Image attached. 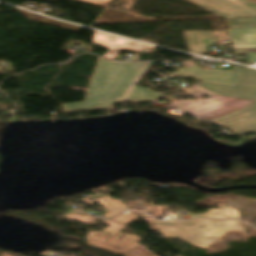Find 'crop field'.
I'll list each match as a JSON object with an SVG mask.
<instances>
[{
	"instance_id": "3316defc",
	"label": "crop field",
	"mask_w": 256,
	"mask_h": 256,
	"mask_svg": "<svg viewBox=\"0 0 256 256\" xmlns=\"http://www.w3.org/2000/svg\"><path fill=\"white\" fill-rule=\"evenodd\" d=\"M123 256H157L141 244L121 253Z\"/></svg>"
},
{
	"instance_id": "cbeb9de0",
	"label": "crop field",
	"mask_w": 256,
	"mask_h": 256,
	"mask_svg": "<svg viewBox=\"0 0 256 256\" xmlns=\"http://www.w3.org/2000/svg\"><path fill=\"white\" fill-rule=\"evenodd\" d=\"M135 218H137V216H135L133 213L128 211V212H125L123 214L112 217L110 219L125 224V223H127V222H129V221H131Z\"/></svg>"
},
{
	"instance_id": "d9b57169",
	"label": "crop field",
	"mask_w": 256,
	"mask_h": 256,
	"mask_svg": "<svg viewBox=\"0 0 256 256\" xmlns=\"http://www.w3.org/2000/svg\"><path fill=\"white\" fill-rule=\"evenodd\" d=\"M102 222L109 224L108 226H106L102 230H111V231H118L119 232L120 230L125 228V226L123 224L114 222V221H112L110 219H108L106 221H102Z\"/></svg>"
},
{
	"instance_id": "dd49c442",
	"label": "crop field",
	"mask_w": 256,
	"mask_h": 256,
	"mask_svg": "<svg viewBox=\"0 0 256 256\" xmlns=\"http://www.w3.org/2000/svg\"><path fill=\"white\" fill-rule=\"evenodd\" d=\"M199 68H200L199 65L178 68L174 73L179 74L181 76L193 77L201 81L230 84V85H234V83L240 76L239 73L226 72V71L201 70Z\"/></svg>"
},
{
	"instance_id": "4a817a6b",
	"label": "crop field",
	"mask_w": 256,
	"mask_h": 256,
	"mask_svg": "<svg viewBox=\"0 0 256 256\" xmlns=\"http://www.w3.org/2000/svg\"><path fill=\"white\" fill-rule=\"evenodd\" d=\"M75 1H80L84 3L105 7V5L108 3L109 0H75Z\"/></svg>"
},
{
	"instance_id": "5142ce71",
	"label": "crop field",
	"mask_w": 256,
	"mask_h": 256,
	"mask_svg": "<svg viewBox=\"0 0 256 256\" xmlns=\"http://www.w3.org/2000/svg\"><path fill=\"white\" fill-rule=\"evenodd\" d=\"M64 217L68 218V219L77 220V221H80L83 223H88V224H93L95 222V219L92 217L74 215V214H70V213L66 214Z\"/></svg>"
},
{
	"instance_id": "d8731c3e",
	"label": "crop field",
	"mask_w": 256,
	"mask_h": 256,
	"mask_svg": "<svg viewBox=\"0 0 256 256\" xmlns=\"http://www.w3.org/2000/svg\"><path fill=\"white\" fill-rule=\"evenodd\" d=\"M162 93H155L150 89L134 86L124 101L144 102L155 101Z\"/></svg>"
},
{
	"instance_id": "f4fd0767",
	"label": "crop field",
	"mask_w": 256,
	"mask_h": 256,
	"mask_svg": "<svg viewBox=\"0 0 256 256\" xmlns=\"http://www.w3.org/2000/svg\"><path fill=\"white\" fill-rule=\"evenodd\" d=\"M92 44L109 48L102 57L113 58V56L120 50L126 52H152L154 47L139 44L129 40L121 39L105 33L94 31Z\"/></svg>"
},
{
	"instance_id": "34b2d1b8",
	"label": "crop field",
	"mask_w": 256,
	"mask_h": 256,
	"mask_svg": "<svg viewBox=\"0 0 256 256\" xmlns=\"http://www.w3.org/2000/svg\"><path fill=\"white\" fill-rule=\"evenodd\" d=\"M219 17L256 16V4L249 0H185Z\"/></svg>"
},
{
	"instance_id": "bc2a9ffb",
	"label": "crop field",
	"mask_w": 256,
	"mask_h": 256,
	"mask_svg": "<svg viewBox=\"0 0 256 256\" xmlns=\"http://www.w3.org/2000/svg\"><path fill=\"white\" fill-rule=\"evenodd\" d=\"M120 211H124V210H119V211H108V212L104 213L103 215H105V216H106V218H107V217H109V216H111V215H113V214H115V213H117V212H120ZM117 214H118V213H117Z\"/></svg>"
},
{
	"instance_id": "ac0d7876",
	"label": "crop field",
	"mask_w": 256,
	"mask_h": 256,
	"mask_svg": "<svg viewBox=\"0 0 256 256\" xmlns=\"http://www.w3.org/2000/svg\"><path fill=\"white\" fill-rule=\"evenodd\" d=\"M87 246L116 255L138 244L141 238L110 231H89Z\"/></svg>"
},
{
	"instance_id": "5a996713",
	"label": "crop field",
	"mask_w": 256,
	"mask_h": 256,
	"mask_svg": "<svg viewBox=\"0 0 256 256\" xmlns=\"http://www.w3.org/2000/svg\"><path fill=\"white\" fill-rule=\"evenodd\" d=\"M217 230L215 224H193L186 229L188 235H208Z\"/></svg>"
},
{
	"instance_id": "22f410ed",
	"label": "crop field",
	"mask_w": 256,
	"mask_h": 256,
	"mask_svg": "<svg viewBox=\"0 0 256 256\" xmlns=\"http://www.w3.org/2000/svg\"><path fill=\"white\" fill-rule=\"evenodd\" d=\"M189 217H218V218H227L224 216L219 209H208L207 212L202 214H189Z\"/></svg>"
},
{
	"instance_id": "28ad6ade",
	"label": "crop field",
	"mask_w": 256,
	"mask_h": 256,
	"mask_svg": "<svg viewBox=\"0 0 256 256\" xmlns=\"http://www.w3.org/2000/svg\"><path fill=\"white\" fill-rule=\"evenodd\" d=\"M146 62H133V63H123L115 62V64L122 65L128 72L137 77V75L142 70Z\"/></svg>"
},
{
	"instance_id": "d1516ede",
	"label": "crop field",
	"mask_w": 256,
	"mask_h": 256,
	"mask_svg": "<svg viewBox=\"0 0 256 256\" xmlns=\"http://www.w3.org/2000/svg\"><path fill=\"white\" fill-rule=\"evenodd\" d=\"M103 207L107 209L125 208L118 200H112L107 196L96 199Z\"/></svg>"
},
{
	"instance_id": "412701ff",
	"label": "crop field",
	"mask_w": 256,
	"mask_h": 256,
	"mask_svg": "<svg viewBox=\"0 0 256 256\" xmlns=\"http://www.w3.org/2000/svg\"><path fill=\"white\" fill-rule=\"evenodd\" d=\"M197 85L214 93L256 99V70L244 68L234 86L198 82Z\"/></svg>"
},
{
	"instance_id": "e52e79f7",
	"label": "crop field",
	"mask_w": 256,
	"mask_h": 256,
	"mask_svg": "<svg viewBox=\"0 0 256 256\" xmlns=\"http://www.w3.org/2000/svg\"><path fill=\"white\" fill-rule=\"evenodd\" d=\"M188 51L204 53L201 39L213 38L211 31H183Z\"/></svg>"
},
{
	"instance_id": "733c2abd",
	"label": "crop field",
	"mask_w": 256,
	"mask_h": 256,
	"mask_svg": "<svg viewBox=\"0 0 256 256\" xmlns=\"http://www.w3.org/2000/svg\"><path fill=\"white\" fill-rule=\"evenodd\" d=\"M220 210L229 218H239L236 209H233L231 206H219Z\"/></svg>"
},
{
	"instance_id": "214f88e0",
	"label": "crop field",
	"mask_w": 256,
	"mask_h": 256,
	"mask_svg": "<svg viewBox=\"0 0 256 256\" xmlns=\"http://www.w3.org/2000/svg\"><path fill=\"white\" fill-rule=\"evenodd\" d=\"M90 83H91V81H90ZM90 85V84H89ZM88 88H89V86H88ZM88 90V89H87ZM87 100H92V98L90 97V95L88 94V92H86V95H85V98H84V100L83 101H87Z\"/></svg>"
},
{
	"instance_id": "8a807250",
	"label": "crop field",
	"mask_w": 256,
	"mask_h": 256,
	"mask_svg": "<svg viewBox=\"0 0 256 256\" xmlns=\"http://www.w3.org/2000/svg\"><path fill=\"white\" fill-rule=\"evenodd\" d=\"M135 78L122 66L98 57L88 90L94 101L61 104L62 113L94 110L100 105L118 103Z\"/></svg>"
}]
</instances>
